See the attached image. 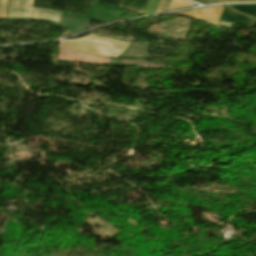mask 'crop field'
I'll use <instances>...</instances> for the list:
<instances>
[{
    "instance_id": "ac0d7876",
    "label": "crop field",
    "mask_w": 256,
    "mask_h": 256,
    "mask_svg": "<svg viewBox=\"0 0 256 256\" xmlns=\"http://www.w3.org/2000/svg\"><path fill=\"white\" fill-rule=\"evenodd\" d=\"M34 0H9L7 17L45 18L59 23L61 11L33 8Z\"/></svg>"
},
{
    "instance_id": "8a807250",
    "label": "crop field",
    "mask_w": 256,
    "mask_h": 256,
    "mask_svg": "<svg viewBox=\"0 0 256 256\" xmlns=\"http://www.w3.org/2000/svg\"><path fill=\"white\" fill-rule=\"evenodd\" d=\"M128 44V42L91 35L79 40L62 41L60 49L108 57H117L125 50Z\"/></svg>"
},
{
    "instance_id": "3316defc",
    "label": "crop field",
    "mask_w": 256,
    "mask_h": 256,
    "mask_svg": "<svg viewBox=\"0 0 256 256\" xmlns=\"http://www.w3.org/2000/svg\"><path fill=\"white\" fill-rule=\"evenodd\" d=\"M213 1H219V2H235L236 0H213Z\"/></svg>"
},
{
    "instance_id": "412701ff",
    "label": "crop field",
    "mask_w": 256,
    "mask_h": 256,
    "mask_svg": "<svg viewBox=\"0 0 256 256\" xmlns=\"http://www.w3.org/2000/svg\"><path fill=\"white\" fill-rule=\"evenodd\" d=\"M219 20L236 23V24H240L248 27H251L252 23L254 22V19L243 16L241 14H238L234 11H231L225 8L223 9Z\"/></svg>"
},
{
    "instance_id": "f4fd0767",
    "label": "crop field",
    "mask_w": 256,
    "mask_h": 256,
    "mask_svg": "<svg viewBox=\"0 0 256 256\" xmlns=\"http://www.w3.org/2000/svg\"><path fill=\"white\" fill-rule=\"evenodd\" d=\"M148 0H123L119 6L142 13Z\"/></svg>"
},
{
    "instance_id": "5a996713",
    "label": "crop field",
    "mask_w": 256,
    "mask_h": 256,
    "mask_svg": "<svg viewBox=\"0 0 256 256\" xmlns=\"http://www.w3.org/2000/svg\"><path fill=\"white\" fill-rule=\"evenodd\" d=\"M199 3H209V2H212V0H195Z\"/></svg>"
},
{
    "instance_id": "28ad6ade",
    "label": "crop field",
    "mask_w": 256,
    "mask_h": 256,
    "mask_svg": "<svg viewBox=\"0 0 256 256\" xmlns=\"http://www.w3.org/2000/svg\"><path fill=\"white\" fill-rule=\"evenodd\" d=\"M256 0H237L236 2H254Z\"/></svg>"
},
{
    "instance_id": "dd49c442",
    "label": "crop field",
    "mask_w": 256,
    "mask_h": 256,
    "mask_svg": "<svg viewBox=\"0 0 256 256\" xmlns=\"http://www.w3.org/2000/svg\"><path fill=\"white\" fill-rule=\"evenodd\" d=\"M229 7L256 16V5H228Z\"/></svg>"
},
{
    "instance_id": "34b2d1b8",
    "label": "crop field",
    "mask_w": 256,
    "mask_h": 256,
    "mask_svg": "<svg viewBox=\"0 0 256 256\" xmlns=\"http://www.w3.org/2000/svg\"><path fill=\"white\" fill-rule=\"evenodd\" d=\"M222 9H223L222 5H217V6L201 8V9L180 12V13H174V14L191 17L215 26Z\"/></svg>"
},
{
    "instance_id": "d8731c3e",
    "label": "crop field",
    "mask_w": 256,
    "mask_h": 256,
    "mask_svg": "<svg viewBox=\"0 0 256 256\" xmlns=\"http://www.w3.org/2000/svg\"><path fill=\"white\" fill-rule=\"evenodd\" d=\"M170 2L171 0H161L155 12L167 10Z\"/></svg>"
},
{
    "instance_id": "e52e79f7",
    "label": "crop field",
    "mask_w": 256,
    "mask_h": 256,
    "mask_svg": "<svg viewBox=\"0 0 256 256\" xmlns=\"http://www.w3.org/2000/svg\"><path fill=\"white\" fill-rule=\"evenodd\" d=\"M190 6H195V4L185 0H173L168 10L190 7Z\"/></svg>"
}]
</instances>
